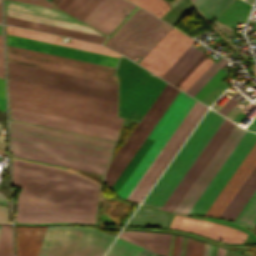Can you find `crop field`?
<instances>
[{
    "label": "crop field",
    "instance_id": "1",
    "mask_svg": "<svg viewBox=\"0 0 256 256\" xmlns=\"http://www.w3.org/2000/svg\"><path fill=\"white\" fill-rule=\"evenodd\" d=\"M12 179L22 187L16 223L94 224L100 186L76 174L16 160Z\"/></svg>",
    "mask_w": 256,
    "mask_h": 256
},
{
    "label": "crop field",
    "instance_id": "2",
    "mask_svg": "<svg viewBox=\"0 0 256 256\" xmlns=\"http://www.w3.org/2000/svg\"><path fill=\"white\" fill-rule=\"evenodd\" d=\"M12 155L103 175L113 141L11 121Z\"/></svg>",
    "mask_w": 256,
    "mask_h": 256
},
{
    "label": "crop field",
    "instance_id": "3",
    "mask_svg": "<svg viewBox=\"0 0 256 256\" xmlns=\"http://www.w3.org/2000/svg\"><path fill=\"white\" fill-rule=\"evenodd\" d=\"M171 28L139 8L105 46L131 59L144 57ZM194 41L172 28L139 64L161 77Z\"/></svg>",
    "mask_w": 256,
    "mask_h": 256
},
{
    "label": "crop field",
    "instance_id": "4",
    "mask_svg": "<svg viewBox=\"0 0 256 256\" xmlns=\"http://www.w3.org/2000/svg\"><path fill=\"white\" fill-rule=\"evenodd\" d=\"M10 106L119 129L117 102L8 79Z\"/></svg>",
    "mask_w": 256,
    "mask_h": 256
},
{
    "label": "crop field",
    "instance_id": "5",
    "mask_svg": "<svg viewBox=\"0 0 256 256\" xmlns=\"http://www.w3.org/2000/svg\"><path fill=\"white\" fill-rule=\"evenodd\" d=\"M116 73L120 85L119 116L140 121L167 82L124 57Z\"/></svg>",
    "mask_w": 256,
    "mask_h": 256
},
{
    "label": "crop field",
    "instance_id": "6",
    "mask_svg": "<svg viewBox=\"0 0 256 256\" xmlns=\"http://www.w3.org/2000/svg\"><path fill=\"white\" fill-rule=\"evenodd\" d=\"M225 117L209 109L144 204L161 208Z\"/></svg>",
    "mask_w": 256,
    "mask_h": 256
},
{
    "label": "crop field",
    "instance_id": "7",
    "mask_svg": "<svg viewBox=\"0 0 256 256\" xmlns=\"http://www.w3.org/2000/svg\"><path fill=\"white\" fill-rule=\"evenodd\" d=\"M113 239L90 227H48L38 256H102Z\"/></svg>",
    "mask_w": 256,
    "mask_h": 256
},
{
    "label": "crop field",
    "instance_id": "8",
    "mask_svg": "<svg viewBox=\"0 0 256 256\" xmlns=\"http://www.w3.org/2000/svg\"><path fill=\"white\" fill-rule=\"evenodd\" d=\"M8 78L117 101V85L9 63Z\"/></svg>",
    "mask_w": 256,
    "mask_h": 256
},
{
    "label": "crop field",
    "instance_id": "9",
    "mask_svg": "<svg viewBox=\"0 0 256 256\" xmlns=\"http://www.w3.org/2000/svg\"><path fill=\"white\" fill-rule=\"evenodd\" d=\"M7 61L117 84L113 67L9 45Z\"/></svg>",
    "mask_w": 256,
    "mask_h": 256
},
{
    "label": "crop field",
    "instance_id": "10",
    "mask_svg": "<svg viewBox=\"0 0 256 256\" xmlns=\"http://www.w3.org/2000/svg\"><path fill=\"white\" fill-rule=\"evenodd\" d=\"M195 101L196 100L179 91L161 119L149 134V137L156 138L155 141L118 191V195L126 199Z\"/></svg>",
    "mask_w": 256,
    "mask_h": 256
},
{
    "label": "crop field",
    "instance_id": "11",
    "mask_svg": "<svg viewBox=\"0 0 256 256\" xmlns=\"http://www.w3.org/2000/svg\"><path fill=\"white\" fill-rule=\"evenodd\" d=\"M178 91L179 90L167 83L157 99L141 119L139 125L136 127L125 145L123 144L124 146L120 152L118 151L119 153L115 159L113 158L114 160L113 162L111 161L112 163L104 176L110 187L142 144Z\"/></svg>",
    "mask_w": 256,
    "mask_h": 256
},
{
    "label": "crop field",
    "instance_id": "12",
    "mask_svg": "<svg viewBox=\"0 0 256 256\" xmlns=\"http://www.w3.org/2000/svg\"><path fill=\"white\" fill-rule=\"evenodd\" d=\"M207 107L203 106L199 102L193 105L181 124L175 130L148 170L142 176L130 195L128 200L140 202L166 164L169 162L173 154L196 124Z\"/></svg>",
    "mask_w": 256,
    "mask_h": 256
},
{
    "label": "crop field",
    "instance_id": "13",
    "mask_svg": "<svg viewBox=\"0 0 256 256\" xmlns=\"http://www.w3.org/2000/svg\"><path fill=\"white\" fill-rule=\"evenodd\" d=\"M255 142L256 134L246 131L188 214L204 215Z\"/></svg>",
    "mask_w": 256,
    "mask_h": 256
},
{
    "label": "crop field",
    "instance_id": "14",
    "mask_svg": "<svg viewBox=\"0 0 256 256\" xmlns=\"http://www.w3.org/2000/svg\"><path fill=\"white\" fill-rule=\"evenodd\" d=\"M244 133L245 130L235 125L184 198L181 200L177 208L174 210V213L187 214Z\"/></svg>",
    "mask_w": 256,
    "mask_h": 256
},
{
    "label": "crop field",
    "instance_id": "15",
    "mask_svg": "<svg viewBox=\"0 0 256 256\" xmlns=\"http://www.w3.org/2000/svg\"><path fill=\"white\" fill-rule=\"evenodd\" d=\"M234 125L235 124H233L232 122H230L228 119L225 118V120L222 122L220 127L214 133V135L209 140L207 145L204 147V149L201 151L199 156L196 158L194 163L191 165V167L188 169L186 174L183 176L179 184L176 186L172 194L169 196L165 204L162 206V209L173 212V210L176 208L180 200L183 198L185 193L188 191L192 183L195 181L197 176L200 174L202 169L208 163L210 158L213 156L215 151L221 145V143L226 138V136L231 131V129L234 127Z\"/></svg>",
    "mask_w": 256,
    "mask_h": 256
},
{
    "label": "crop field",
    "instance_id": "16",
    "mask_svg": "<svg viewBox=\"0 0 256 256\" xmlns=\"http://www.w3.org/2000/svg\"><path fill=\"white\" fill-rule=\"evenodd\" d=\"M11 119L64 129L68 131L108 138L116 139L118 134L117 129H112L108 127L88 124L84 122L64 119L60 117L45 115L41 113L21 110L17 108L10 107Z\"/></svg>",
    "mask_w": 256,
    "mask_h": 256
},
{
    "label": "crop field",
    "instance_id": "17",
    "mask_svg": "<svg viewBox=\"0 0 256 256\" xmlns=\"http://www.w3.org/2000/svg\"><path fill=\"white\" fill-rule=\"evenodd\" d=\"M4 2H5V7H7V8L21 10V11L44 15V16L53 17V18H58V19L67 20V21H71V22L81 23V22L73 19L72 17L66 15L65 13H63L59 10H56V9L42 7V6L33 5V4L24 3V2L15 1V0H4ZM7 8H5V12H6V15H8V16L44 22V23H49V24H53L56 26H61V27H66V28H70V29H75V30H80V31L103 35L100 32L94 30L93 28H91L89 26L81 25L83 23L76 24V23H71V22L62 21V20H58V19L48 18V17L34 15V14H30V13H25V12H21V11L11 10V9H7Z\"/></svg>",
    "mask_w": 256,
    "mask_h": 256
},
{
    "label": "crop field",
    "instance_id": "18",
    "mask_svg": "<svg viewBox=\"0 0 256 256\" xmlns=\"http://www.w3.org/2000/svg\"><path fill=\"white\" fill-rule=\"evenodd\" d=\"M7 44L115 67L119 58L7 34Z\"/></svg>",
    "mask_w": 256,
    "mask_h": 256
},
{
    "label": "crop field",
    "instance_id": "19",
    "mask_svg": "<svg viewBox=\"0 0 256 256\" xmlns=\"http://www.w3.org/2000/svg\"><path fill=\"white\" fill-rule=\"evenodd\" d=\"M170 228L189 231L230 243H242L246 233L197 218L175 215Z\"/></svg>",
    "mask_w": 256,
    "mask_h": 256
},
{
    "label": "crop field",
    "instance_id": "20",
    "mask_svg": "<svg viewBox=\"0 0 256 256\" xmlns=\"http://www.w3.org/2000/svg\"><path fill=\"white\" fill-rule=\"evenodd\" d=\"M135 6L127 0H102L83 22L108 35Z\"/></svg>",
    "mask_w": 256,
    "mask_h": 256
},
{
    "label": "crop field",
    "instance_id": "21",
    "mask_svg": "<svg viewBox=\"0 0 256 256\" xmlns=\"http://www.w3.org/2000/svg\"><path fill=\"white\" fill-rule=\"evenodd\" d=\"M256 164V143L237 168L233 176L215 199L205 215L218 217L228 201L234 195L246 176Z\"/></svg>",
    "mask_w": 256,
    "mask_h": 256
},
{
    "label": "crop field",
    "instance_id": "22",
    "mask_svg": "<svg viewBox=\"0 0 256 256\" xmlns=\"http://www.w3.org/2000/svg\"><path fill=\"white\" fill-rule=\"evenodd\" d=\"M47 227L14 226L17 256H37Z\"/></svg>",
    "mask_w": 256,
    "mask_h": 256
},
{
    "label": "crop field",
    "instance_id": "23",
    "mask_svg": "<svg viewBox=\"0 0 256 256\" xmlns=\"http://www.w3.org/2000/svg\"><path fill=\"white\" fill-rule=\"evenodd\" d=\"M7 33L18 35V36H23V37H28V38H32V39L47 41V42H51V43L61 44V45H65V46L75 47V48H79V49L94 51V52H98V53L108 54V55H112V56H117V57L120 56L119 54H117L101 45L76 41V40H72V39H71L70 43H63L60 40L61 37H59V36L44 34V33L25 30V29H20V28H16V27L7 26Z\"/></svg>",
    "mask_w": 256,
    "mask_h": 256
},
{
    "label": "crop field",
    "instance_id": "24",
    "mask_svg": "<svg viewBox=\"0 0 256 256\" xmlns=\"http://www.w3.org/2000/svg\"><path fill=\"white\" fill-rule=\"evenodd\" d=\"M119 237L163 256L168 255L170 234L123 231Z\"/></svg>",
    "mask_w": 256,
    "mask_h": 256
},
{
    "label": "crop field",
    "instance_id": "25",
    "mask_svg": "<svg viewBox=\"0 0 256 256\" xmlns=\"http://www.w3.org/2000/svg\"><path fill=\"white\" fill-rule=\"evenodd\" d=\"M256 189V165L229 201L219 217L234 220L244 204Z\"/></svg>",
    "mask_w": 256,
    "mask_h": 256
},
{
    "label": "crop field",
    "instance_id": "26",
    "mask_svg": "<svg viewBox=\"0 0 256 256\" xmlns=\"http://www.w3.org/2000/svg\"><path fill=\"white\" fill-rule=\"evenodd\" d=\"M6 23L27 27V28H32V29H37V30H42V31L51 32V33L66 35L70 37L90 40V41L99 42V43H102V41L105 39L104 36L84 33L80 31H75V30H70V29H65V28H60L55 26H49L45 24L35 23V22L12 18L8 16H6Z\"/></svg>",
    "mask_w": 256,
    "mask_h": 256
},
{
    "label": "crop field",
    "instance_id": "27",
    "mask_svg": "<svg viewBox=\"0 0 256 256\" xmlns=\"http://www.w3.org/2000/svg\"><path fill=\"white\" fill-rule=\"evenodd\" d=\"M173 215V213L141 205L129 225L167 228Z\"/></svg>",
    "mask_w": 256,
    "mask_h": 256
},
{
    "label": "crop field",
    "instance_id": "28",
    "mask_svg": "<svg viewBox=\"0 0 256 256\" xmlns=\"http://www.w3.org/2000/svg\"><path fill=\"white\" fill-rule=\"evenodd\" d=\"M101 0H63L57 7L83 20Z\"/></svg>",
    "mask_w": 256,
    "mask_h": 256
},
{
    "label": "crop field",
    "instance_id": "29",
    "mask_svg": "<svg viewBox=\"0 0 256 256\" xmlns=\"http://www.w3.org/2000/svg\"><path fill=\"white\" fill-rule=\"evenodd\" d=\"M234 0H194L192 3L198 12L208 21H212Z\"/></svg>",
    "mask_w": 256,
    "mask_h": 256
},
{
    "label": "crop field",
    "instance_id": "30",
    "mask_svg": "<svg viewBox=\"0 0 256 256\" xmlns=\"http://www.w3.org/2000/svg\"><path fill=\"white\" fill-rule=\"evenodd\" d=\"M235 221L252 229L256 223V191L240 211Z\"/></svg>",
    "mask_w": 256,
    "mask_h": 256
},
{
    "label": "crop field",
    "instance_id": "31",
    "mask_svg": "<svg viewBox=\"0 0 256 256\" xmlns=\"http://www.w3.org/2000/svg\"><path fill=\"white\" fill-rule=\"evenodd\" d=\"M157 17H161L171 6L165 0H129Z\"/></svg>",
    "mask_w": 256,
    "mask_h": 256
},
{
    "label": "crop field",
    "instance_id": "32",
    "mask_svg": "<svg viewBox=\"0 0 256 256\" xmlns=\"http://www.w3.org/2000/svg\"><path fill=\"white\" fill-rule=\"evenodd\" d=\"M141 247L117 238L106 256H137Z\"/></svg>",
    "mask_w": 256,
    "mask_h": 256
},
{
    "label": "crop field",
    "instance_id": "33",
    "mask_svg": "<svg viewBox=\"0 0 256 256\" xmlns=\"http://www.w3.org/2000/svg\"><path fill=\"white\" fill-rule=\"evenodd\" d=\"M207 56L200 62V64L185 78V80L178 86L183 91H187L189 87L199 78V76L212 63Z\"/></svg>",
    "mask_w": 256,
    "mask_h": 256
},
{
    "label": "crop field",
    "instance_id": "34",
    "mask_svg": "<svg viewBox=\"0 0 256 256\" xmlns=\"http://www.w3.org/2000/svg\"><path fill=\"white\" fill-rule=\"evenodd\" d=\"M224 59H225V58L222 57L216 64L213 62V63L209 66V68L200 76V78H201V77L215 64V65L202 77V79L200 80V78H199V79L191 86V88H192V87L200 80L192 89L189 87L191 90L189 89L190 91H189V90H188L189 92L187 91L188 94L191 95V94L199 87V85L216 69V67H217ZM227 61H228V60L225 59V60L217 67V69L200 85V87H199L191 96L194 97V96L198 93V91H199V90L213 77V75L220 69V67L222 68V67L224 66V64H225ZM225 65H226V64H225ZM187 92H186V93H187Z\"/></svg>",
    "mask_w": 256,
    "mask_h": 256
},
{
    "label": "crop field",
    "instance_id": "35",
    "mask_svg": "<svg viewBox=\"0 0 256 256\" xmlns=\"http://www.w3.org/2000/svg\"><path fill=\"white\" fill-rule=\"evenodd\" d=\"M0 256H13L11 226L2 225L1 227Z\"/></svg>",
    "mask_w": 256,
    "mask_h": 256
},
{
    "label": "crop field",
    "instance_id": "36",
    "mask_svg": "<svg viewBox=\"0 0 256 256\" xmlns=\"http://www.w3.org/2000/svg\"><path fill=\"white\" fill-rule=\"evenodd\" d=\"M197 50V48L190 46L161 78L168 81Z\"/></svg>",
    "mask_w": 256,
    "mask_h": 256
},
{
    "label": "crop field",
    "instance_id": "37",
    "mask_svg": "<svg viewBox=\"0 0 256 256\" xmlns=\"http://www.w3.org/2000/svg\"><path fill=\"white\" fill-rule=\"evenodd\" d=\"M227 74L221 69L214 75V77L201 89V91L194 97L202 100Z\"/></svg>",
    "mask_w": 256,
    "mask_h": 256
},
{
    "label": "crop field",
    "instance_id": "38",
    "mask_svg": "<svg viewBox=\"0 0 256 256\" xmlns=\"http://www.w3.org/2000/svg\"><path fill=\"white\" fill-rule=\"evenodd\" d=\"M202 54L201 51H197L185 64L184 66L169 80L172 85L179 79V77L194 63V61ZM170 83V84H171Z\"/></svg>",
    "mask_w": 256,
    "mask_h": 256
},
{
    "label": "crop field",
    "instance_id": "39",
    "mask_svg": "<svg viewBox=\"0 0 256 256\" xmlns=\"http://www.w3.org/2000/svg\"><path fill=\"white\" fill-rule=\"evenodd\" d=\"M203 246V242L194 239L191 256H202ZM207 246L208 244L205 243L203 256H206Z\"/></svg>",
    "mask_w": 256,
    "mask_h": 256
},
{
    "label": "crop field",
    "instance_id": "40",
    "mask_svg": "<svg viewBox=\"0 0 256 256\" xmlns=\"http://www.w3.org/2000/svg\"><path fill=\"white\" fill-rule=\"evenodd\" d=\"M237 94L238 92H236L235 95L218 112L225 116L233 108V106L242 98L241 96L238 101L234 100L233 98Z\"/></svg>",
    "mask_w": 256,
    "mask_h": 256
},
{
    "label": "crop field",
    "instance_id": "41",
    "mask_svg": "<svg viewBox=\"0 0 256 256\" xmlns=\"http://www.w3.org/2000/svg\"><path fill=\"white\" fill-rule=\"evenodd\" d=\"M206 55L203 53L196 62L181 76V78L174 84V86H178L183 79L198 65V63L205 57Z\"/></svg>",
    "mask_w": 256,
    "mask_h": 256
},
{
    "label": "crop field",
    "instance_id": "42",
    "mask_svg": "<svg viewBox=\"0 0 256 256\" xmlns=\"http://www.w3.org/2000/svg\"><path fill=\"white\" fill-rule=\"evenodd\" d=\"M0 221L10 222V213L7 207L0 206Z\"/></svg>",
    "mask_w": 256,
    "mask_h": 256
},
{
    "label": "crop field",
    "instance_id": "43",
    "mask_svg": "<svg viewBox=\"0 0 256 256\" xmlns=\"http://www.w3.org/2000/svg\"><path fill=\"white\" fill-rule=\"evenodd\" d=\"M20 1H24V2H29V3H33V4L42 5V6L56 8V7L52 6L51 4L47 3L45 0H20Z\"/></svg>",
    "mask_w": 256,
    "mask_h": 256
},
{
    "label": "crop field",
    "instance_id": "44",
    "mask_svg": "<svg viewBox=\"0 0 256 256\" xmlns=\"http://www.w3.org/2000/svg\"><path fill=\"white\" fill-rule=\"evenodd\" d=\"M179 239H180V236L175 235L173 250H172V256H177L178 246H179Z\"/></svg>",
    "mask_w": 256,
    "mask_h": 256
},
{
    "label": "crop field",
    "instance_id": "45",
    "mask_svg": "<svg viewBox=\"0 0 256 256\" xmlns=\"http://www.w3.org/2000/svg\"><path fill=\"white\" fill-rule=\"evenodd\" d=\"M192 241H193V239H188L187 238L184 256H190L191 247H192Z\"/></svg>",
    "mask_w": 256,
    "mask_h": 256
},
{
    "label": "crop field",
    "instance_id": "46",
    "mask_svg": "<svg viewBox=\"0 0 256 256\" xmlns=\"http://www.w3.org/2000/svg\"><path fill=\"white\" fill-rule=\"evenodd\" d=\"M138 256H157V254L142 248Z\"/></svg>",
    "mask_w": 256,
    "mask_h": 256
},
{
    "label": "crop field",
    "instance_id": "47",
    "mask_svg": "<svg viewBox=\"0 0 256 256\" xmlns=\"http://www.w3.org/2000/svg\"><path fill=\"white\" fill-rule=\"evenodd\" d=\"M0 77L4 78L3 54H2V51H0Z\"/></svg>",
    "mask_w": 256,
    "mask_h": 256
},
{
    "label": "crop field",
    "instance_id": "48",
    "mask_svg": "<svg viewBox=\"0 0 256 256\" xmlns=\"http://www.w3.org/2000/svg\"><path fill=\"white\" fill-rule=\"evenodd\" d=\"M0 97L4 99V81L0 78Z\"/></svg>",
    "mask_w": 256,
    "mask_h": 256
},
{
    "label": "crop field",
    "instance_id": "49",
    "mask_svg": "<svg viewBox=\"0 0 256 256\" xmlns=\"http://www.w3.org/2000/svg\"><path fill=\"white\" fill-rule=\"evenodd\" d=\"M224 252L225 250L219 247L217 256H224Z\"/></svg>",
    "mask_w": 256,
    "mask_h": 256
},
{
    "label": "crop field",
    "instance_id": "50",
    "mask_svg": "<svg viewBox=\"0 0 256 256\" xmlns=\"http://www.w3.org/2000/svg\"><path fill=\"white\" fill-rule=\"evenodd\" d=\"M0 109L5 111V104H4V100L0 98Z\"/></svg>",
    "mask_w": 256,
    "mask_h": 256
},
{
    "label": "crop field",
    "instance_id": "51",
    "mask_svg": "<svg viewBox=\"0 0 256 256\" xmlns=\"http://www.w3.org/2000/svg\"><path fill=\"white\" fill-rule=\"evenodd\" d=\"M61 1L62 0H50L49 2L57 6Z\"/></svg>",
    "mask_w": 256,
    "mask_h": 256
},
{
    "label": "crop field",
    "instance_id": "52",
    "mask_svg": "<svg viewBox=\"0 0 256 256\" xmlns=\"http://www.w3.org/2000/svg\"><path fill=\"white\" fill-rule=\"evenodd\" d=\"M182 240H183V237H181V239H180V246H179L178 256H180V253H181Z\"/></svg>",
    "mask_w": 256,
    "mask_h": 256
},
{
    "label": "crop field",
    "instance_id": "53",
    "mask_svg": "<svg viewBox=\"0 0 256 256\" xmlns=\"http://www.w3.org/2000/svg\"><path fill=\"white\" fill-rule=\"evenodd\" d=\"M211 248H212V245H210V244H209V246H208L207 256H210V254H211Z\"/></svg>",
    "mask_w": 256,
    "mask_h": 256
},
{
    "label": "crop field",
    "instance_id": "54",
    "mask_svg": "<svg viewBox=\"0 0 256 256\" xmlns=\"http://www.w3.org/2000/svg\"><path fill=\"white\" fill-rule=\"evenodd\" d=\"M0 203L7 205V203L5 202V200L3 199V197L1 195H0Z\"/></svg>",
    "mask_w": 256,
    "mask_h": 256
},
{
    "label": "crop field",
    "instance_id": "55",
    "mask_svg": "<svg viewBox=\"0 0 256 256\" xmlns=\"http://www.w3.org/2000/svg\"><path fill=\"white\" fill-rule=\"evenodd\" d=\"M0 50H3L2 36H0Z\"/></svg>",
    "mask_w": 256,
    "mask_h": 256
},
{
    "label": "crop field",
    "instance_id": "56",
    "mask_svg": "<svg viewBox=\"0 0 256 256\" xmlns=\"http://www.w3.org/2000/svg\"><path fill=\"white\" fill-rule=\"evenodd\" d=\"M251 130L256 132V124L251 128Z\"/></svg>",
    "mask_w": 256,
    "mask_h": 256
},
{
    "label": "crop field",
    "instance_id": "57",
    "mask_svg": "<svg viewBox=\"0 0 256 256\" xmlns=\"http://www.w3.org/2000/svg\"><path fill=\"white\" fill-rule=\"evenodd\" d=\"M252 230L256 232V225L253 227V229H252Z\"/></svg>",
    "mask_w": 256,
    "mask_h": 256
},
{
    "label": "crop field",
    "instance_id": "58",
    "mask_svg": "<svg viewBox=\"0 0 256 256\" xmlns=\"http://www.w3.org/2000/svg\"><path fill=\"white\" fill-rule=\"evenodd\" d=\"M0 35H2V28H1V25H0Z\"/></svg>",
    "mask_w": 256,
    "mask_h": 256
},
{
    "label": "crop field",
    "instance_id": "59",
    "mask_svg": "<svg viewBox=\"0 0 256 256\" xmlns=\"http://www.w3.org/2000/svg\"><path fill=\"white\" fill-rule=\"evenodd\" d=\"M0 22H1V15H0Z\"/></svg>",
    "mask_w": 256,
    "mask_h": 256
},
{
    "label": "crop field",
    "instance_id": "60",
    "mask_svg": "<svg viewBox=\"0 0 256 256\" xmlns=\"http://www.w3.org/2000/svg\"><path fill=\"white\" fill-rule=\"evenodd\" d=\"M193 0H191V2H192Z\"/></svg>",
    "mask_w": 256,
    "mask_h": 256
},
{
    "label": "crop field",
    "instance_id": "61",
    "mask_svg": "<svg viewBox=\"0 0 256 256\" xmlns=\"http://www.w3.org/2000/svg\"><path fill=\"white\" fill-rule=\"evenodd\" d=\"M0 227H1V225H0Z\"/></svg>",
    "mask_w": 256,
    "mask_h": 256
},
{
    "label": "crop field",
    "instance_id": "62",
    "mask_svg": "<svg viewBox=\"0 0 256 256\" xmlns=\"http://www.w3.org/2000/svg\"><path fill=\"white\" fill-rule=\"evenodd\" d=\"M49 1V0H48Z\"/></svg>",
    "mask_w": 256,
    "mask_h": 256
}]
</instances>
